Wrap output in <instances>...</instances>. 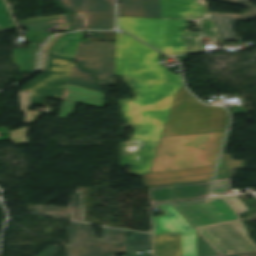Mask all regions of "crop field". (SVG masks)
I'll list each match as a JSON object with an SVG mask.
<instances>
[{
    "instance_id": "3",
    "label": "crop field",
    "mask_w": 256,
    "mask_h": 256,
    "mask_svg": "<svg viewBox=\"0 0 256 256\" xmlns=\"http://www.w3.org/2000/svg\"><path fill=\"white\" fill-rule=\"evenodd\" d=\"M224 133L162 137L149 173L215 165Z\"/></svg>"
},
{
    "instance_id": "41",
    "label": "crop field",
    "mask_w": 256,
    "mask_h": 256,
    "mask_svg": "<svg viewBox=\"0 0 256 256\" xmlns=\"http://www.w3.org/2000/svg\"><path fill=\"white\" fill-rule=\"evenodd\" d=\"M60 56H63V55H60ZM63 57H67V58H71V59L76 60V57H72V56H63Z\"/></svg>"
},
{
    "instance_id": "32",
    "label": "crop field",
    "mask_w": 256,
    "mask_h": 256,
    "mask_svg": "<svg viewBox=\"0 0 256 256\" xmlns=\"http://www.w3.org/2000/svg\"><path fill=\"white\" fill-rule=\"evenodd\" d=\"M19 96H20V100H21L22 111L24 113H26V118L24 119V121L27 124H30L39 116L40 113L28 111V109H27L28 108L27 94L19 92Z\"/></svg>"
},
{
    "instance_id": "38",
    "label": "crop field",
    "mask_w": 256,
    "mask_h": 256,
    "mask_svg": "<svg viewBox=\"0 0 256 256\" xmlns=\"http://www.w3.org/2000/svg\"><path fill=\"white\" fill-rule=\"evenodd\" d=\"M59 250L58 246H50L40 256H54Z\"/></svg>"
},
{
    "instance_id": "24",
    "label": "crop field",
    "mask_w": 256,
    "mask_h": 256,
    "mask_svg": "<svg viewBox=\"0 0 256 256\" xmlns=\"http://www.w3.org/2000/svg\"><path fill=\"white\" fill-rule=\"evenodd\" d=\"M68 84L84 87L88 89L102 91L99 85L96 83L93 75L83 70L75 64L71 79ZM103 92V91H102Z\"/></svg>"
},
{
    "instance_id": "21",
    "label": "crop field",
    "mask_w": 256,
    "mask_h": 256,
    "mask_svg": "<svg viewBox=\"0 0 256 256\" xmlns=\"http://www.w3.org/2000/svg\"><path fill=\"white\" fill-rule=\"evenodd\" d=\"M230 133L228 134V138L224 147V151L218 166V171H217V177L216 179L219 178H232L234 175L235 168H244L245 161H235L230 155L224 154L228 140L230 137Z\"/></svg>"
},
{
    "instance_id": "22",
    "label": "crop field",
    "mask_w": 256,
    "mask_h": 256,
    "mask_svg": "<svg viewBox=\"0 0 256 256\" xmlns=\"http://www.w3.org/2000/svg\"><path fill=\"white\" fill-rule=\"evenodd\" d=\"M223 41H241L235 33V24L237 19L219 17L211 15Z\"/></svg>"
},
{
    "instance_id": "36",
    "label": "crop field",
    "mask_w": 256,
    "mask_h": 256,
    "mask_svg": "<svg viewBox=\"0 0 256 256\" xmlns=\"http://www.w3.org/2000/svg\"><path fill=\"white\" fill-rule=\"evenodd\" d=\"M72 16L74 18V22L69 32L84 29V16H78V15H72Z\"/></svg>"
},
{
    "instance_id": "26",
    "label": "crop field",
    "mask_w": 256,
    "mask_h": 256,
    "mask_svg": "<svg viewBox=\"0 0 256 256\" xmlns=\"http://www.w3.org/2000/svg\"><path fill=\"white\" fill-rule=\"evenodd\" d=\"M172 190L173 185L151 188L149 192L150 203L160 204L170 202Z\"/></svg>"
},
{
    "instance_id": "11",
    "label": "crop field",
    "mask_w": 256,
    "mask_h": 256,
    "mask_svg": "<svg viewBox=\"0 0 256 256\" xmlns=\"http://www.w3.org/2000/svg\"><path fill=\"white\" fill-rule=\"evenodd\" d=\"M70 244L125 242V231L103 227V239H96L92 228L71 222L68 228Z\"/></svg>"
},
{
    "instance_id": "23",
    "label": "crop field",
    "mask_w": 256,
    "mask_h": 256,
    "mask_svg": "<svg viewBox=\"0 0 256 256\" xmlns=\"http://www.w3.org/2000/svg\"><path fill=\"white\" fill-rule=\"evenodd\" d=\"M71 208H58V207H47L41 206L39 209L40 213H51V214H64L71 211L73 220L82 221V197L81 194H74Z\"/></svg>"
},
{
    "instance_id": "18",
    "label": "crop field",
    "mask_w": 256,
    "mask_h": 256,
    "mask_svg": "<svg viewBox=\"0 0 256 256\" xmlns=\"http://www.w3.org/2000/svg\"><path fill=\"white\" fill-rule=\"evenodd\" d=\"M126 242V256H137V250L142 251L138 256H152V253H146V250H152V237L150 235L134 233Z\"/></svg>"
},
{
    "instance_id": "20",
    "label": "crop field",
    "mask_w": 256,
    "mask_h": 256,
    "mask_svg": "<svg viewBox=\"0 0 256 256\" xmlns=\"http://www.w3.org/2000/svg\"><path fill=\"white\" fill-rule=\"evenodd\" d=\"M84 32L68 34L63 40L56 44L50 53L76 56Z\"/></svg>"
},
{
    "instance_id": "37",
    "label": "crop field",
    "mask_w": 256,
    "mask_h": 256,
    "mask_svg": "<svg viewBox=\"0 0 256 256\" xmlns=\"http://www.w3.org/2000/svg\"><path fill=\"white\" fill-rule=\"evenodd\" d=\"M67 16H69V15L63 14V15H56V16H50V17H43V18H36V19H30V20H23V21H20L19 24L28 23V22H35V21H41V20L54 19V18H61V17H67Z\"/></svg>"
},
{
    "instance_id": "16",
    "label": "crop field",
    "mask_w": 256,
    "mask_h": 256,
    "mask_svg": "<svg viewBox=\"0 0 256 256\" xmlns=\"http://www.w3.org/2000/svg\"><path fill=\"white\" fill-rule=\"evenodd\" d=\"M212 181L175 185L171 202L190 201L206 198Z\"/></svg>"
},
{
    "instance_id": "19",
    "label": "crop field",
    "mask_w": 256,
    "mask_h": 256,
    "mask_svg": "<svg viewBox=\"0 0 256 256\" xmlns=\"http://www.w3.org/2000/svg\"><path fill=\"white\" fill-rule=\"evenodd\" d=\"M38 49H14V63L20 67L19 73H31L37 67Z\"/></svg>"
},
{
    "instance_id": "1",
    "label": "crop field",
    "mask_w": 256,
    "mask_h": 256,
    "mask_svg": "<svg viewBox=\"0 0 256 256\" xmlns=\"http://www.w3.org/2000/svg\"><path fill=\"white\" fill-rule=\"evenodd\" d=\"M116 76L129 82L135 99L122 100L121 109L135 135L121 143L122 165L132 174L149 172L174 96L183 83L159 63V53L125 33H116Z\"/></svg>"
},
{
    "instance_id": "13",
    "label": "crop field",
    "mask_w": 256,
    "mask_h": 256,
    "mask_svg": "<svg viewBox=\"0 0 256 256\" xmlns=\"http://www.w3.org/2000/svg\"><path fill=\"white\" fill-rule=\"evenodd\" d=\"M161 8L164 18L201 19L210 15L198 0H161Z\"/></svg>"
},
{
    "instance_id": "10",
    "label": "crop field",
    "mask_w": 256,
    "mask_h": 256,
    "mask_svg": "<svg viewBox=\"0 0 256 256\" xmlns=\"http://www.w3.org/2000/svg\"><path fill=\"white\" fill-rule=\"evenodd\" d=\"M215 166L141 175L146 187L212 179Z\"/></svg>"
},
{
    "instance_id": "7",
    "label": "crop field",
    "mask_w": 256,
    "mask_h": 256,
    "mask_svg": "<svg viewBox=\"0 0 256 256\" xmlns=\"http://www.w3.org/2000/svg\"><path fill=\"white\" fill-rule=\"evenodd\" d=\"M74 63L49 56L47 72L22 89L32 93L31 105H45L46 98L62 100Z\"/></svg>"
},
{
    "instance_id": "5",
    "label": "crop field",
    "mask_w": 256,
    "mask_h": 256,
    "mask_svg": "<svg viewBox=\"0 0 256 256\" xmlns=\"http://www.w3.org/2000/svg\"><path fill=\"white\" fill-rule=\"evenodd\" d=\"M197 229L199 256L256 254V244L248 237V231L242 220Z\"/></svg>"
},
{
    "instance_id": "14",
    "label": "crop field",
    "mask_w": 256,
    "mask_h": 256,
    "mask_svg": "<svg viewBox=\"0 0 256 256\" xmlns=\"http://www.w3.org/2000/svg\"><path fill=\"white\" fill-rule=\"evenodd\" d=\"M118 15L162 17L160 0H118Z\"/></svg>"
},
{
    "instance_id": "6",
    "label": "crop field",
    "mask_w": 256,
    "mask_h": 256,
    "mask_svg": "<svg viewBox=\"0 0 256 256\" xmlns=\"http://www.w3.org/2000/svg\"><path fill=\"white\" fill-rule=\"evenodd\" d=\"M173 206L195 227L240 220L238 214L247 211L237 197H213L207 201Z\"/></svg>"
},
{
    "instance_id": "42",
    "label": "crop field",
    "mask_w": 256,
    "mask_h": 256,
    "mask_svg": "<svg viewBox=\"0 0 256 256\" xmlns=\"http://www.w3.org/2000/svg\"><path fill=\"white\" fill-rule=\"evenodd\" d=\"M252 256H256V255H252Z\"/></svg>"
},
{
    "instance_id": "9",
    "label": "crop field",
    "mask_w": 256,
    "mask_h": 256,
    "mask_svg": "<svg viewBox=\"0 0 256 256\" xmlns=\"http://www.w3.org/2000/svg\"><path fill=\"white\" fill-rule=\"evenodd\" d=\"M166 214L155 217V234H182L183 256H197V231L170 205H159Z\"/></svg>"
},
{
    "instance_id": "15",
    "label": "crop field",
    "mask_w": 256,
    "mask_h": 256,
    "mask_svg": "<svg viewBox=\"0 0 256 256\" xmlns=\"http://www.w3.org/2000/svg\"><path fill=\"white\" fill-rule=\"evenodd\" d=\"M71 256H111L125 252L126 243L68 245Z\"/></svg>"
},
{
    "instance_id": "2",
    "label": "crop field",
    "mask_w": 256,
    "mask_h": 256,
    "mask_svg": "<svg viewBox=\"0 0 256 256\" xmlns=\"http://www.w3.org/2000/svg\"><path fill=\"white\" fill-rule=\"evenodd\" d=\"M201 31H187L190 21L159 20L118 16V25L156 49L169 55L202 51L204 37L218 39L219 33L212 18L197 21Z\"/></svg>"
},
{
    "instance_id": "31",
    "label": "crop field",
    "mask_w": 256,
    "mask_h": 256,
    "mask_svg": "<svg viewBox=\"0 0 256 256\" xmlns=\"http://www.w3.org/2000/svg\"><path fill=\"white\" fill-rule=\"evenodd\" d=\"M217 1H223V2H228V3H234V4L243 5V6H245L246 8L250 9L248 13H250V12L256 10V7H255V6L246 3V2L249 1V0H217ZM248 13H246L245 15H247ZM211 14H213V13H211ZM214 15H221V14H214ZM245 15H222V16H229V17L241 18V17H243V16H245ZM254 17H256V11L253 12V13H251L250 15H248V16L242 18L240 21L246 22V21H248V20H250V19H252V18H254Z\"/></svg>"
},
{
    "instance_id": "29",
    "label": "crop field",
    "mask_w": 256,
    "mask_h": 256,
    "mask_svg": "<svg viewBox=\"0 0 256 256\" xmlns=\"http://www.w3.org/2000/svg\"><path fill=\"white\" fill-rule=\"evenodd\" d=\"M17 28L3 0H0V32Z\"/></svg>"
},
{
    "instance_id": "33",
    "label": "crop field",
    "mask_w": 256,
    "mask_h": 256,
    "mask_svg": "<svg viewBox=\"0 0 256 256\" xmlns=\"http://www.w3.org/2000/svg\"><path fill=\"white\" fill-rule=\"evenodd\" d=\"M52 33L45 31L29 30L25 35L29 42L44 43Z\"/></svg>"
},
{
    "instance_id": "25",
    "label": "crop field",
    "mask_w": 256,
    "mask_h": 256,
    "mask_svg": "<svg viewBox=\"0 0 256 256\" xmlns=\"http://www.w3.org/2000/svg\"><path fill=\"white\" fill-rule=\"evenodd\" d=\"M86 13L115 15L114 0H86Z\"/></svg>"
},
{
    "instance_id": "40",
    "label": "crop field",
    "mask_w": 256,
    "mask_h": 256,
    "mask_svg": "<svg viewBox=\"0 0 256 256\" xmlns=\"http://www.w3.org/2000/svg\"><path fill=\"white\" fill-rule=\"evenodd\" d=\"M41 57H42V65L39 69L40 72H43L45 67H46V58H47V53H41Z\"/></svg>"
},
{
    "instance_id": "34",
    "label": "crop field",
    "mask_w": 256,
    "mask_h": 256,
    "mask_svg": "<svg viewBox=\"0 0 256 256\" xmlns=\"http://www.w3.org/2000/svg\"><path fill=\"white\" fill-rule=\"evenodd\" d=\"M28 129L29 127H25L20 130L10 132L11 141H13L15 145L29 143L26 137Z\"/></svg>"
},
{
    "instance_id": "12",
    "label": "crop field",
    "mask_w": 256,
    "mask_h": 256,
    "mask_svg": "<svg viewBox=\"0 0 256 256\" xmlns=\"http://www.w3.org/2000/svg\"><path fill=\"white\" fill-rule=\"evenodd\" d=\"M103 99H106V97L102 92L68 85L59 119H68L69 115L73 112L76 102L101 108L105 103Z\"/></svg>"
},
{
    "instance_id": "39",
    "label": "crop field",
    "mask_w": 256,
    "mask_h": 256,
    "mask_svg": "<svg viewBox=\"0 0 256 256\" xmlns=\"http://www.w3.org/2000/svg\"><path fill=\"white\" fill-rule=\"evenodd\" d=\"M65 35V34H64ZM64 35L55 36L41 52H48L52 46Z\"/></svg>"
},
{
    "instance_id": "28",
    "label": "crop field",
    "mask_w": 256,
    "mask_h": 256,
    "mask_svg": "<svg viewBox=\"0 0 256 256\" xmlns=\"http://www.w3.org/2000/svg\"><path fill=\"white\" fill-rule=\"evenodd\" d=\"M71 19H70V17H67V18H61V19H54V20H48V21L22 24L20 26L24 27L26 29L44 30V29H47V28L51 27L52 24L67 23V27H66L65 30H68L69 25L72 21Z\"/></svg>"
},
{
    "instance_id": "30",
    "label": "crop field",
    "mask_w": 256,
    "mask_h": 256,
    "mask_svg": "<svg viewBox=\"0 0 256 256\" xmlns=\"http://www.w3.org/2000/svg\"><path fill=\"white\" fill-rule=\"evenodd\" d=\"M60 4L69 13L85 14V0H61Z\"/></svg>"
},
{
    "instance_id": "4",
    "label": "crop field",
    "mask_w": 256,
    "mask_h": 256,
    "mask_svg": "<svg viewBox=\"0 0 256 256\" xmlns=\"http://www.w3.org/2000/svg\"><path fill=\"white\" fill-rule=\"evenodd\" d=\"M228 124L225 109L204 106L182 84L162 136L225 131Z\"/></svg>"
},
{
    "instance_id": "8",
    "label": "crop field",
    "mask_w": 256,
    "mask_h": 256,
    "mask_svg": "<svg viewBox=\"0 0 256 256\" xmlns=\"http://www.w3.org/2000/svg\"><path fill=\"white\" fill-rule=\"evenodd\" d=\"M81 66L92 70L101 85H113L114 43L81 42L77 55Z\"/></svg>"
},
{
    "instance_id": "17",
    "label": "crop field",
    "mask_w": 256,
    "mask_h": 256,
    "mask_svg": "<svg viewBox=\"0 0 256 256\" xmlns=\"http://www.w3.org/2000/svg\"><path fill=\"white\" fill-rule=\"evenodd\" d=\"M155 256H182L181 235H155Z\"/></svg>"
},
{
    "instance_id": "27",
    "label": "crop field",
    "mask_w": 256,
    "mask_h": 256,
    "mask_svg": "<svg viewBox=\"0 0 256 256\" xmlns=\"http://www.w3.org/2000/svg\"><path fill=\"white\" fill-rule=\"evenodd\" d=\"M115 28L114 16H88V29L111 30Z\"/></svg>"
},
{
    "instance_id": "35",
    "label": "crop field",
    "mask_w": 256,
    "mask_h": 256,
    "mask_svg": "<svg viewBox=\"0 0 256 256\" xmlns=\"http://www.w3.org/2000/svg\"><path fill=\"white\" fill-rule=\"evenodd\" d=\"M229 189H230V179H219V180H216L213 193L224 195V194H227Z\"/></svg>"
}]
</instances>
